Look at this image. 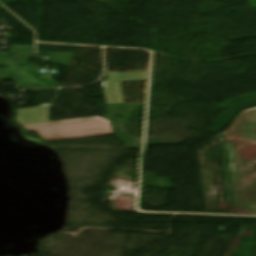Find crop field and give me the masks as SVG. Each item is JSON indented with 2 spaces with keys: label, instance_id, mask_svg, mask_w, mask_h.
Instances as JSON below:
<instances>
[{
  "label": "crop field",
  "instance_id": "3",
  "mask_svg": "<svg viewBox=\"0 0 256 256\" xmlns=\"http://www.w3.org/2000/svg\"><path fill=\"white\" fill-rule=\"evenodd\" d=\"M148 72L141 73H107V80L103 82L107 104H123L124 98L120 83L140 82L147 80Z\"/></svg>",
  "mask_w": 256,
  "mask_h": 256
},
{
  "label": "crop field",
  "instance_id": "1",
  "mask_svg": "<svg viewBox=\"0 0 256 256\" xmlns=\"http://www.w3.org/2000/svg\"><path fill=\"white\" fill-rule=\"evenodd\" d=\"M225 137L236 213L256 214V108L242 111Z\"/></svg>",
  "mask_w": 256,
  "mask_h": 256
},
{
  "label": "crop field",
  "instance_id": "2",
  "mask_svg": "<svg viewBox=\"0 0 256 256\" xmlns=\"http://www.w3.org/2000/svg\"><path fill=\"white\" fill-rule=\"evenodd\" d=\"M44 142L113 134L109 121L100 117L23 125Z\"/></svg>",
  "mask_w": 256,
  "mask_h": 256
},
{
  "label": "crop field",
  "instance_id": "4",
  "mask_svg": "<svg viewBox=\"0 0 256 256\" xmlns=\"http://www.w3.org/2000/svg\"><path fill=\"white\" fill-rule=\"evenodd\" d=\"M49 106L18 110L16 120L19 125L49 121Z\"/></svg>",
  "mask_w": 256,
  "mask_h": 256
}]
</instances>
